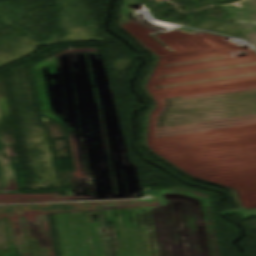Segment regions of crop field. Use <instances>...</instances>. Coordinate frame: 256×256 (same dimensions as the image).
<instances>
[{"instance_id": "8a807250", "label": "crop field", "mask_w": 256, "mask_h": 256, "mask_svg": "<svg viewBox=\"0 0 256 256\" xmlns=\"http://www.w3.org/2000/svg\"><path fill=\"white\" fill-rule=\"evenodd\" d=\"M159 205L158 200L98 201L0 206V256H54L48 214L102 208H128Z\"/></svg>"}]
</instances>
